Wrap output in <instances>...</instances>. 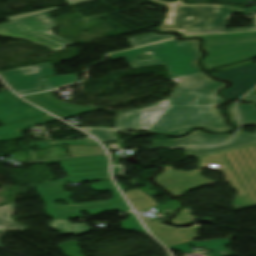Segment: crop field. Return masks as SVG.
<instances>
[{
	"instance_id": "18",
	"label": "crop field",
	"mask_w": 256,
	"mask_h": 256,
	"mask_svg": "<svg viewBox=\"0 0 256 256\" xmlns=\"http://www.w3.org/2000/svg\"><path fill=\"white\" fill-rule=\"evenodd\" d=\"M124 194L130 201L135 211H140L152 207H154L157 211H160L166 209H176L178 206V202L173 200H170L167 203L159 205L156 203V200L144 194L141 188L125 191Z\"/></svg>"
},
{
	"instance_id": "29",
	"label": "crop field",
	"mask_w": 256,
	"mask_h": 256,
	"mask_svg": "<svg viewBox=\"0 0 256 256\" xmlns=\"http://www.w3.org/2000/svg\"><path fill=\"white\" fill-rule=\"evenodd\" d=\"M56 144H73L72 140H62V141H43V142H35L30 143L29 145H37L40 149H44L50 145Z\"/></svg>"
},
{
	"instance_id": "22",
	"label": "crop field",
	"mask_w": 256,
	"mask_h": 256,
	"mask_svg": "<svg viewBox=\"0 0 256 256\" xmlns=\"http://www.w3.org/2000/svg\"><path fill=\"white\" fill-rule=\"evenodd\" d=\"M42 80H43L44 90L53 89L62 84L78 82L77 74L52 77V78H42Z\"/></svg>"
},
{
	"instance_id": "33",
	"label": "crop field",
	"mask_w": 256,
	"mask_h": 256,
	"mask_svg": "<svg viewBox=\"0 0 256 256\" xmlns=\"http://www.w3.org/2000/svg\"><path fill=\"white\" fill-rule=\"evenodd\" d=\"M74 144H80V145H88L93 146L97 145V143L94 141L93 138L86 139V140H73Z\"/></svg>"
},
{
	"instance_id": "12",
	"label": "crop field",
	"mask_w": 256,
	"mask_h": 256,
	"mask_svg": "<svg viewBox=\"0 0 256 256\" xmlns=\"http://www.w3.org/2000/svg\"><path fill=\"white\" fill-rule=\"evenodd\" d=\"M213 75L233 81L234 87L224 90L223 93L230 99L237 98L256 85V64L214 73Z\"/></svg>"
},
{
	"instance_id": "5",
	"label": "crop field",
	"mask_w": 256,
	"mask_h": 256,
	"mask_svg": "<svg viewBox=\"0 0 256 256\" xmlns=\"http://www.w3.org/2000/svg\"><path fill=\"white\" fill-rule=\"evenodd\" d=\"M199 40L178 42L174 39L138 49L108 55L112 60L126 57L133 68L166 64L170 78L201 73L196 64L200 55L197 45ZM150 52L151 60L138 61L134 55Z\"/></svg>"
},
{
	"instance_id": "36",
	"label": "crop field",
	"mask_w": 256,
	"mask_h": 256,
	"mask_svg": "<svg viewBox=\"0 0 256 256\" xmlns=\"http://www.w3.org/2000/svg\"><path fill=\"white\" fill-rule=\"evenodd\" d=\"M6 232H7L6 229H4V228H1V229H0V239H1L2 235H3L4 233H6ZM0 247H1V243H0Z\"/></svg>"
},
{
	"instance_id": "17",
	"label": "crop field",
	"mask_w": 256,
	"mask_h": 256,
	"mask_svg": "<svg viewBox=\"0 0 256 256\" xmlns=\"http://www.w3.org/2000/svg\"><path fill=\"white\" fill-rule=\"evenodd\" d=\"M161 104L151 105L141 110H129L120 113L116 121L119 130H147L152 123L142 122L143 114L154 113L160 110Z\"/></svg>"
},
{
	"instance_id": "4",
	"label": "crop field",
	"mask_w": 256,
	"mask_h": 256,
	"mask_svg": "<svg viewBox=\"0 0 256 256\" xmlns=\"http://www.w3.org/2000/svg\"><path fill=\"white\" fill-rule=\"evenodd\" d=\"M94 191H111L114 198L108 201H94L84 204H74L68 197L71 193L61 191L57 193L41 196L45 201L44 208L47 214L54 218V221L48 226L60 232V234H72L80 236L94 228L87 226V223L71 224L67 218L82 217L79 212L87 210L91 216H95L104 211H130V208L124 201L123 197L111 182V180L90 185ZM55 199H65L69 205L54 204ZM88 213V214H89Z\"/></svg>"
},
{
	"instance_id": "38",
	"label": "crop field",
	"mask_w": 256,
	"mask_h": 256,
	"mask_svg": "<svg viewBox=\"0 0 256 256\" xmlns=\"http://www.w3.org/2000/svg\"><path fill=\"white\" fill-rule=\"evenodd\" d=\"M252 94H256V89L253 90L252 92H250L248 95H252ZM248 95H247V96H248Z\"/></svg>"
},
{
	"instance_id": "16",
	"label": "crop field",
	"mask_w": 256,
	"mask_h": 256,
	"mask_svg": "<svg viewBox=\"0 0 256 256\" xmlns=\"http://www.w3.org/2000/svg\"><path fill=\"white\" fill-rule=\"evenodd\" d=\"M229 138V135H210L201 131H195L188 137L181 139H168L152 141L154 147H177V146H195V145H217Z\"/></svg>"
},
{
	"instance_id": "10",
	"label": "crop field",
	"mask_w": 256,
	"mask_h": 256,
	"mask_svg": "<svg viewBox=\"0 0 256 256\" xmlns=\"http://www.w3.org/2000/svg\"><path fill=\"white\" fill-rule=\"evenodd\" d=\"M26 70H29V72L26 73ZM0 75L14 91L21 94L42 90L40 77L51 76L54 74L51 63L49 62L0 72Z\"/></svg>"
},
{
	"instance_id": "11",
	"label": "crop field",
	"mask_w": 256,
	"mask_h": 256,
	"mask_svg": "<svg viewBox=\"0 0 256 256\" xmlns=\"http://www.w3.org/2000/svg\"><path fill=\"white\" fill-rule=\"evenodd\" d=\"M198 173H200V169L191 172H183L173 171L170 166H165L163 172L155 176L154 179L172 195L178 197L200 186L216 183L198 176Z\"/></svg>"
},
{
	"instance_id": "31",
	"label": "crop field",
	"mask_w": 256,
	"mask_h": 256,
	"mask_svg": "<svg viewBox=\"0 0 256 256\" xmlns=\"http://www.w3.org/2000/svg\"><path fill=\"white\" fill-rule=\"evenodd\" d=\"M168 100L160 102L162 104V108H161L160 112L154 113V114H146V115H144L143 121L154 122L160 116V114L168 107L167 106Z\"/></svg>"
},
{
	"instance_id": "27",
	"label": "crop field",
	"mask_w": 256,
	"mask_h": 256,
	"mask_svg": "<svg viewBox=\"0 0 256 256\" xmlns=\"http://www.w3.org/2000/svg\"><path fill=\"white\" fill-rule=\"evenodd\" d=\"M59 247L64 251L68 256H82L80 254V248L77 245L76 241H68L59 244Z\"/></svg>"
},
{
	"instance_id": "34",
	"label": "crop field",
	"mask_w": 256,
	"mask_h": 256,
	"mask_svg": "<svg viewBox=\"0 0 256 256\" xmlns=\"http://www.w3.org/2000/svg\"><path fill=\"white\" fill-rule=\"evenodd\" d=\"M187 1H197V0H187ZM218 1H224V2H230V3H248L249 0H218ZM256 1V0H253Z\"/></svg>"
},
{
	"instance_id": "3",
	"label": "crop field",
	"mask_w": 256,
	"mask_h": 256,
	"mask_svg": "<svg viewBox=\"0 0 256 256\" xmlns=\"http://www.w3.org/2000/svg\"><path fill=\"white\" fill-rule=\"evenodd\" d=\"M199 168L207 167L225 174L238 191L235 209L256 205V144L199 157Z\"/></svg>"
},
{
	"instance_id": "24",
	"label": "crop field",
	"mask_w": 256,
	"mask_h": 256,
	"mask_svg": "<svg viewBox=\"0 0 256 256\" xmlns=\"http://www.w3.org/2000/svg\"><path fill=\"white\" fill-rule=\"evenodd\" d=\"M88 133L92 134L96 139L101 142L104 141H117L116 137L111 130H102V129H83Z\"/></svg>"
},
{
	"instance_id": "15",
	"label": "crop field",
	"mask_w": 256,
	"mask_h": 256,
	"mask_svg": "<svg viewBox=\"0 0 256 256\" xmlns=\"http://www.w3.org/2000/svg\"><path fill=\"white\" fill-rule=\"evenodd\" d=\"M139 216L148 226L150 231L167 247L194 240L198 237L197 232L201 229L199 226L191 229H175L157 224L151 220H146L140 214Z\"/></svg>"
},
{
	"instance_id": "2",
	"label": "crop field",
	"mask_w": 256,
	"mask_h": 256,
	"mask_svg": "<svg viewBox=\"0 0 256 256\" xmlns=\"http://www.w3.org/2000/svg\"><path fill=\"white\" fill-rule=\"evenodd\" d=\"M150 1L168 7L166 18L158 27L160 31H179L182 35H189L256 29V18H254V28L224 29L231 12L248 13L250 10H256V7L240 8L207 3L186 4L182 0Z\"/></svg>"
},
{
	"instance_id": "23",
	"label": "crop field",
	"mask_w": 256,
	"mask_h": 256,
	"mask_svg": "<svg viewBox=\"0 0 256 256\" xmlns=\"http://www.w3.org/2000/svg\"><path fill=\"white\" fill-rule=\"evenodd\" d=\"M170 37H174V36L150 33V34H145V35H141V36L131 37V38H129V40H130L132 46L136 47V46L148 44L151 42H155V41L170 38Z\"/></svg>"
},
{
	"instance_id": "30",
	"label": "crop field",
	"mask_w": 256,
	"mask_h": 256,
	"mask_svg": "<svg viewBox=\"0 0 256 256\" xmlns=\"http://www.w3.org/2000/svg\"><path fill=\"white\" fill-rule=\"evenodd\" d=\"M54 9H58V8L55 7V8L44 9V10H39V11H33V12H28V13H22V14H18V15H16V16L6 17V19H8L9 21H12V20H16V19H20V18H24V17H28V16L40 14V13H44V12L51 11V10H54Z\"/></svg>"
},
{
	"instance_id": "25",
	"label": "crop field",
	"mask_w": 256,
	"mask_h": 256,
	"mask_svg": "<svg viewBox=\"0 0 256 256\" xmlns=\"http://www.w3.org/2000/svg\"><path fill=\"white\" fill-rule=\"evenodd\" d=\"M129 215V218L123 222H121V225L124 230L126 231H144L142 228L139 220L136 218V216L133 214V212L127 213Z\"/></svg>"
},
{
	"instance_id": "13",
	"label": "crop field",
	"mask_w": 256,
	"mask_h": 256,
	"mask_svg": "<svg viewBox=\"0 0 256 256\" xmlns=\"http://www.w3.org/2000/svg\"><path fill=\"white\" fill-rule=\"evenodd\" d=\"M24 103V100L18 98L12 92L0 93V120L6 124L42 114L45 112L31 106L23 108L20 105Z\"/></svg>"
},
{
	"instance_id": "19",
	"label": "crop field",
	"mask_w": 256,
	"mask_h": 256,
	"mask_svg": "<svg viewBox=\"0 0 256 256\" xmlns=\"http://www.w3.org/2000/svg\"><path fill=\"white\" fill-rule=\"evenodd\" d=\"M189 244L191 246H202V247H205L206 249H214L213 256H232L233 255V253L229 252L224 246V244L226 245L231 244V242L226 239L210 240V241H204V242L192 241V242H189ZM169 249L179 250L185 253H189L192 251L190 246L187 243L169 247Z\"/></svg>"
},
{
	"instance_id": "26",
	"label": "crop field",
	"mask_w": 256,
	"mask_h": 256,
	"mask_svg": "<svg viewBox=\"0 0 256 256\" xmlns=\"http://www.w3.org/2000/svg\"><path fill=\"white\" fill-rule=\"evenodd\" d=\"M71 157L95 155V147L68 146Z\"/></svg>"
},
{
	"instance_id": "32",
	"label": "crop field",
	"mask_w": 256,
	"mask_h": 256,
	"mask_svg": "<svg viewBox=\"0 0 256 256\" xmlns=\"http://www.w3.org/2000/svg\"><path fill=\"white\" fill-rule=\"evenodd\" d=\"M227 111H228V115H229V119H230L231 123L237 126L238 124H237V120H236V115H235V111H234V108H233V104L228 106Z\"/></svg>"
},
{
	"instance_id": "28",
	"label": "crop field",
	"mask_w": 256,
	"mask_h": 256,
	"mask_svg": "<svg viewBox=\"0 0 256 256\" xmlns=\"http://www.w3.org/2000/svg\"><path fill=\"white\" fill-rule=\"evenodd\" d=\"M171 222L175 224L192 222L189 209H181L177 216L171 220Z\"/></svg>"
},
{
	"instance_id": "7",
	"label": "crop field",
	"mask_w": 256,
	"mask_h": 256,
	"mask_svg": "<svg viewBox=\"0 0 256 256\" xmlns=\"http://www.w3.org/2000/svg\"><path fill=\"white\" fill-rule=\"evenodd\" d=\"M56 23L47 14H40L0 24V35L22 38L47 48L60 51L73 42L59 38L52 33Z\"/></svg>"
},
{
	"instance_id": "6",
	"label": "crop field",
	"mask_w": 256,
	"mask_h": 256,
	"mask_svg": "<svg viewBox=\"0 0 256 256\" xmlns=\"http://www.w3.org/2000/svg\"><path fill=\"white\" fill-rule=\"evenodd\" d=\"M200 37L205 39L203 48L208 51V56L201 60L207 70L256 57V31Z\"/></svg>"
},
{
	"instance_id": "37",
	"label": "crop field",
	"mask_w": 256,
	"mask_h": 256,
	"mask_svg": "<svg viewBox=\"0 0 256 256\" xmlns=\"http://www.w3.org/2000/svg\"><path fill=\"white\" fill-rule=\"evenodd\" d=\"M96 150H97V154L104 152L103 148L100 146L96 147Z\"/></svg>"
},
{
	"instance_id": "21",
	"label": "crop field",
	"mask_w": 256,
	"mask_h": 256,
	"mask_svg": "<svg viewBox=\"0 0 256 256\" xmlns=\"http://www.w3.org/2000/svg\"><path fill=\"white\" fill-rule=\"evenodd\" d=\"M14 208L15 206L13 204L0 207V225L8 230L22 231L27 227L22 226L10 219V215Z\"/></svg>"
},
{
	"instance_id": "35",
	"label": "crop field",
	"mask_w": 256,
	"mask_h": 256,
	"mask_svg": "<svg viewBox=\"0 0 256 256\" xmlns=\"http://www.w3.org/2000/svg\"><path fill=\"white\" fill-rule=\"evenodd\" d=\"M71 5L74 4H78V3H82V2H86V1H90V0H67Z\"/></svg>"
},
{
	"instance_id": "9",
	"label": "crop field",
	"mask_w": 256,
	"mask_h": 256,
	"mask_svg": "<svg viewBox=\"0 0 256 256\" xmlns=\"http://www.w3.org/2000/svg\"><path fill=\"white\" fill-rule=\"evenodd\" d=\"M243 101L256 102V95L246 97ZM240 121L242 126L256 125V107L254 104L237 105ZM256 143V134H246L239 132L234 136L226 145L215 148H198V149H185L186 155L191 157H199L207 154H212L248 144Z\"/></svg>"
},
{
	"instance_id": "8",
	"label": "crop field",
	"mask_w": 256,
	"mask_h": 256,
	"mask_svg": "<svg viewBox=\"0 0 256 256\" xmlns=\"http://www.w3.org/2000/svg\"><path fill=\"white\" fill-rule=\"evenodd\" d=\"M69 178L36 184L40 195L61 191L60 184L84 181L108 179L107 155H100L89 158H72L59 160Z\"/></svg>"
},
{
	"instance_id": "20",
	"label": "crop field",
	"mask_w": 256,
	"mask_h": 256,
	"mask_svg": "<svg viewBox=\"0 0 256 256\" xmlns=\"http://www.w3.org/2000/svg\"><path fill=\"white\" fill-rule=\"evenodd\" d=\"M56 119L51 115H46L10 125L0 127V140L14 139L21 136L20 131L34 124H42L48 120Z\"/></svg>"
},
{
	"instance_id": "1",
	"label": "crop field",
	"mask_w": 256,
	"mask_h": 256,
	"mask_svg": "<svg viewBox=\"0 0 256 256\" xmlns=\"http://www.w3.org/2000/svg\"><path fill=\"white\" fill-rule=\"evenodd\" d=\"M224 83L216 82L204 73L181 78L169 107L148 131L181 135L192 126H202L217 132L232 129L224 123L222 113L215 109L223 100L216 95Z\"/></svg>"
},
{
	"instance_id": "14",
	"label": "crop field",
	"mask_w": 256,
	"mask_h": 256,
	"mask_svg": "<svg viewBox=\"0 0 256 256\" xmlns=\"http://www.w3.org/2000/svg\"><path fill=\"white\" fill-rule=\"evenodd\" d=\"M23 98L52 112L54 115H57L63 119L69 118L74 115H79V114L97 110V109L85 108V107L75 106L72 104L62 103L52 98L51 91L23 96Z\"/></svg>"
}]
</instances>
